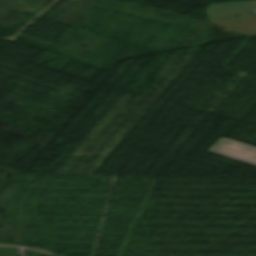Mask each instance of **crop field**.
<instances>
[{
    "label": "crop field",
    "instance_id": "obj_1",
    "mask_svg": "<svg viewBox=\"0 0 256 256\" xmlns=\"http://www.w3.org/2000/svg\"><path fill=\"white\" fill-rule=\"evenodd\" d=\"M209 152L256 166V148L222 138Z\"/></svg>",
    "mask_w": 256,
    "mask_h": 256
},
{
    "label": "crop field",
    "instance_id": "obj_2",
    "mask_svg": "<svg viewBox=\"0 0 256 256\" xmlns=\"http://www.w3.org/2000/svg\"><path fill=\"white\" fill-rule=\"evenodd\" d=\"M207 13L209 18L255 15L256 1L210 5Z\"/></svg>",
    "mask_w": 256,
    "mask_h": 256
}]
</instances>
